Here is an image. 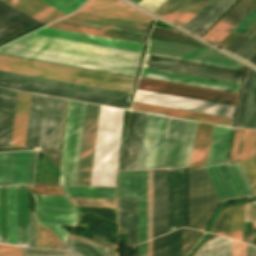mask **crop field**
Masks as SVG:
<instances>
[{"instance_id":"crop-field-3","label":"crop field","mask_w":256,"mask_h":256,"mask_svg":"<svg viewBox=\"0 0 256 256\" xmlns=\"http://www.w3.org/2000/svg\"><path fill=\"white\" fill-rule=\"evenodd\" d=\"M150 55L234 68L243 70L244 66L205 48L157 41L149 39L148 53ZM146 56L143 66L168 71L192 74L240 83L243 71L156 57Z\"/></svg>"},{"instance_id":"crop-field-65","label":"crop field","mask_w":256,"mask_h":256,"mask_svg":"<svg viewBox=\"0 0 256 256\" xmlns=\"http://www.w3.org/2000/svg\"><path fill=\"white\" fill-rule=\"evenodd\" d=\"M131 1H133V2L138 4L141 0H131Z\"/></svg>"},{"instance_id":"crop-field-53","label":"crop field","mask_w":256,"mask_h":256,"mask_svg":"<svg viewBox=\"0 0 256 256\" xmlns=\"http://www.w3.org/2000/svg\"><path fill=\"white\" fill-rule=\"evenodd\" d=\"M167 234L153 239V255L166 256Z\"/></svg>"},{"instance_id":"crop-field-66","label":"crop field","mask_w":256,"mask_h":256,"mask_svg":"<svg viewBox=\"0 0 256 256\" xmlns=\"http://www.w3.org/2000/svg\"><path fill=\"white\" fill-rule=\"evenodd\" d=\"M255 156H256V152H255Z\"/></svg>"},{"instance_id":"crop-field-35","label":"crop field","mask_w":256,"mask_h":256,"mask_svg":"<svg viewBox=\"0 0 256 256\" xmlns=\"http://www.w3.org/2000/svg\"><path fill=\"white\" fill-rule=\"evenodd\" d=\"M18 245L29 246L27 189L17 186Z\"/></svg>"},{"instance_id":"crop-field-9","label":"crop field","mask_w":256,"mask_h":256,"mask_svg":"<svg viewBox=\"0 0 256 256\" xmlns=\"http://www.w3.org/2000/svg\"><path fill=\"white\" fill-rule=\"evenodd\" d=\"M203 167L221 202L254 196L238 162L215 163Z\"/></svg>"},{"instance_id":"crop-field-36","label":"crop field","mask_w":256,"mask_h":256,"mask_svg":"<svg viewBox=\"0 0 256 256\" xmlns=\"http://www.w3.org/2000/svg\"><path fill=\"white\" fill-rule=\"evenodd\" d=\"M231 131L215 125L207 163L225 160Z\"/></svg>"},{"instance_id":"crop-field-45","label":"crop field","mask_w":256,"mask_h":256,"mask_svg":"<svg viewBox=\"0 0 256 256\" xmlns=\"http://www.w3.org/2000/svg\"><path fill=\"white\" fill-rule=\"evenodd\" d=\"M152 238V170L147 171V240Z\"/></svg>"},{"instance_id":"crop-field-6","label":"crop field","mask_w":256,"mask_h":256,"mask_svg":"<svg viewBox=\"0 0 256 256\" xmlns=\"http://www.w3.org/2000/svg\"><path fill=\"white\" fill-rule=\"evenodd\" d=\"M123 114L101 106L91 185H115Z\"/></svg>"},{"instance_id":"crop-field-34","label":"crop field","mask_w":256,"mask_h":256,"mask_svg":"<svg viewBox=\"0 0 256 256\" xmlns=\"http://www.w3.org/2000/svg\"><path fill=\"white\" fill-rule=\"evenodd\" d=\"M213 127L199 123L189 166L206 163Z\"/></svg>"},{"instance_id":"crop-field-10","label":"crop field","mask_w":256,"mask_h":256,"mask_svg":"<svg viewBox=\"0 0 256 256\" xmlns=\"http://www.w3.org/2000/svg\"><path fill=\"white\" fill-rule=\"evenodd\" d=\"M220 203L202 166L189 168V227L200 230Z\"/></svg>"},{"instance_id":"crop-field-51","label":"crop field","mask_w":256,"mask_h":256,"mask_svg":"<svg viewBox=\"0 0 256 256\" xmlns=\"http://www.w3.org/2000/svg\"><path fill=\"white\" fill-rule=\"evenodd\" d=\"M256 52V34L236 53V55L249 59ZM256 65V53L248 60Z\"/></svg>"},{"instance_id":"crop-field-14","label":"crop field","mask_w":256,"mask_h":256,"mask_svg":"<svg viewBox=\"0 0 256 256\" xmlns=\"http://www.w3.org/2000/svg\"><path fill=\"white\" fill-rule=\"evenodd\" d=\"M137 88L233 105H235L238 95L235 93L167 83L143 78L139 79Z\"/></svg>"},{"instance_id":"crop-field-56","label":"crop field","mask_w":256,"mask_h":256,"mask_svg":"<svg viewBox=\"0 0 256 256\" xmlns=\"http://www.w3.org/2000/svg\"><path fill=\"white\" fill-rule=\"evenodd\" d=\"M184 226L188 227V168L184 169Z\"/></svg>"},{"instance_id":"crop-field-44","label":"crop field","mask_w":256,"mask_h":256,"mask_svg":"<svg viewBox=\"0 0 256 256\" xmlns=\"http://www.w3.org/2000/svg\"><path fill=\"white\" fill-rule=\"evenodd\" d=\"M239 164L256 195V158L255 156L243 161H239Z\"/></svg>"},{"instance_id":"crop-field-21","label":"crop field","mask_w":256,"mask_h":256,"mask_svg":"<svg viewBox=\"0 0 256 256\" xmlns=\"http://www.w3.org/2000/svg\"><path fill=\"white\" fill-rule=\"evenodd\" d=\"M167 232V170H153V238Z\"/></svg>"},{"instance_id":"crop-field-30","label":"crop field","mask_w":256,"mask_h":256,"mask_svg":"<svg viewBox=\"0 0 256 256\" xmlns=\"http://www.w3.org/2000/svg\"><path fill=\"white\" fill-rule=\"evenodd\" d=\"M132 110L208 122V123H214V124H220V125H226V126H230L231 120H232L230 118L200 114L195 112L171 109V108L136 103V102L133 103Z\"/></svg>"},{"instance_id":"crop-field-63","label":"crop field","mask_w":256,"mask_h":256,"mask_svg":"<svg viewBox=\"0 0 256 256\" xmlns=\"http://www.w3.org/2000/svg\"><path fill=\"white\" fill-rule=\"evenodd\" d=\"M247 256H256V247L247 244Z\"/></svg>"},{"instance_id":"crop-field-47","label":"crop field","mask_w":256,"mask_h":256,"mask_svg":"<svg viewBox=\"0 0 256 256\" xmlns=\"http://www.w3.org/2000/svg\"><path fill=\"white\" fill-rule=\"evenodd\" d=\"M42 1L50 4L51 6L65 12L67 14H69L72 11L76 10L86 0H42Z\"/></svg>"},{"instance_id":"crop-field-23","label":"crop field","mask_w":256,"mask_h":256,"mask_svg":"<svg viewBox=\"0 0 256 256\" xmlns=\"http://www.w3.org/2000/svg\"><path fill=\"white\" fill-rule=\"evenodd\" d=\"M183 226V169L168 170V232Z\"/></svg>"},{"instance_id":"crop-field-58","label":"crop field","mask_w":256,"mask_h":256,"mask_svg":"<svg viewBox=\"0 0 256 256\" xmlns=\"http://www.w3.org/2000/svg\"><path fill=\"white\" fill-rule=\"evenodd\" d=\"M0 256H21V247L0 244Z\"/></svg>"},{"instance_id":"crop-field-5","label":"crop field","mask_w":256,"mask_h":256,"mask_svg":"<svg viewBox=\"0 0 256 256\" xmlns=\"http://www.w3.org/2000/svg\"><path fill=\"white\" fill-rule=\"evenodd\" d=\"M0 70L131 93L133 77L0 55Z\"/></svg>"},{"instance_id":"crop-field-17","label":"crop field","mask_w":256,"mask_h":256,"mask_svg":"<svg viewBox=\"0 0 256 256\" xmlns=\"http://www.w3.org/2000/svg\"><path fill=\"white\" fill-rule=\"evenodd\" d=\"M64 103L45 96L39 147L58 150Z\"/></svg>"},{"instance_id":"crop-field-22","label":"crop field","mask_w":256,"mask_h":256,"mask_svg":"<svg viewBox=\"0 0 256 256\" xmlns=\"http://www.w3.org/2000/svg\"><path fill=\"white\" fill-rule=\"evenodd\" d=\"M141 76L161 79L166 81H172V82H178V83H184V84H190L195 86L213 88L218 90L236 92V93H238L239 86H240V84L238 83L220 81L215 79L191 76L186 74L168 72V71L145 68V67H143L142 69Z\"/></svg>"},{"instance_id":"crop-field-61","label":"crop field","mask_w":256,"mask_h":256,"mask_svg":"<svg viewBox=\"0 0 256 256\" xmlns=\"http://www.w3.org/2000/svg\"><path fill=\"white\" fill-rule=\"evenodd\" d=\"M138 256H146V241L138 245Z\"/></svg>"},{"instance_id":"crop-field-37","label":"crop field","mask_w":256,"mask_h":256,"mask_svg":"<svg viewBox=\"0 0 256 256\" xmlns=\"http://www.w3.org/2000/svg\"><path fill=\"white\" fill-rule=\"evenodd\" d=\"M68 198L116 199V188L61 186Z\"/></svg>"},{"instance_id":"crop-field-28","label":"crop field","mask_w":256,"mask_h":256,"mask_svg":"<svg viewBox=\"0 0 256 256\" xmlns=\"http://www.w3.org/2000/svg\"><path fill=\"white\" fill-rule=\"evenodd\" d=\"M209 0H166L155 13L183 26Z\"/></svg>"},{"instance_id":"crop-field-33","label":"crop field","mask_w":256,"mask_h":256,"mask_svg":"<svg viewBox=\"0 0 256 256\" xmlns=\"http://www.w3.org/2000/svg\"><path fill=\"white\" fill-rule=\"evenodd\" d=\"M64 19L76 20L81 22L93 23L98 25L110 26L144 33L147 32L150 26L148 24L136 23L131 21L113 19L79 12H76L73 15Z\"/></svg>"},{"instance_id":"crop-field-32","label":"crop field","mask_w":256,"mask_h":256,"mask_svg":"<svg viewBox=\"0 0 256 256\" xmlns=\"http://www.w3.org/2000/svg\"><path fill=\"white\" fill-rule=\"evenodd\" d=\"M26 14L48 24L66 14L40 0H2Z\"/></svg>"},{"instance_id":"crop-field-26","label":"crop field","mask_w":256,"mask_h":256,"mask_svg":"<svg viewBox=\"0 0 256 256\" xmlns=\"http://www.w3.org/2000/svg\"><path fill=\"white\" fill-rule=\"evenodd\" d=\"M32 34L80 41L85 43H91V44H97V45H103V46H109V47H115V48H121V49H127V50L139 51V52H143V48H144V45L142 44L119 41L114 39H108L103 37H97V36L69 32V31L58 30V29L47 28V27H43L33 32Z\"/></svg>"},{"instance_id":"crop-field-57","label":"crop field","mask_w":256,"mask_h":256,"mask_svg":"<svg viewBox=\"0 0 256 256\" xmlns=\"http://www.w3.org/2000/svg\"><path fill=\"white\" fill-rule=\"evenodd\" d=\"M118 210H137V198H118Z\"/></svg>"},{"instance_id":"crop-field-54","label":"crop field","mask_w":256,"mask_h":256,"mask_svg":"<svg viewBox=\"0 0 256 256\" xmlns=\"http://www.w3.org/2000/svg\"><path fill=\"white\" fill-rule=\"evenodd\" d=\"M255 20L256 8L252 12H250L232 31L241 34Z\"/></svg>"},{"instance_id":"crop-field-49","label":"crop field","mask_w":256,"mask_h":256,"mask_svg":"<svg viewBox=\"0 0 256 256\" xmlns=\"http://www.w3.org/2000/svg\"><path fill=\"white\" fill-rule=\"evenodd\" d=\"M202 235L203 232L183 228V256H185Z\"/></svg>"},{"instance_id":"crop-field-62","label":"crop field","mask_w":256,"mask_h":256,"mask_svg":"<svg viewBox=\"0 0 256 256\" xmlns=\"http://www.w3.org/2000/svg\"><path fill=\"white\" fill-rule=\"evenodd\" d=\"M196 256H208V243L205 244L198 252Z\"/></svg>"},{"instance_id":"crop-field-46","label":"crop field","mask_w":256,"mask_h":256,"mask_svg":"<svg viewBox=\"0 0 256 256\" xmlns=\"http://www.w3.org/2000/svg\"><path fill=\"white\" fill-rule=\"evenodd\" d=\"M244 133L245 130L235 129L229 163L240 160Z\"/></svg>"},{"instance_id":"crop-field-25","label":"crop field","mask_w":256,"mask_h":256,"mask_svg":"<svg viewBox=\"0 0 256 256\" xmlns=\"http://www.w3.org/2000/svg\"><path fill=\"white\" fill-rule=\"evenodd\" d=\"M235 127L256 128V72L248 69Z\"/></svg>"},{"instance_id":"crop-field-12","label":"crop field","mask_w":256,"mask_h":256,"mask_svg":"<svg viewBox=\"0 0 256 256\" xmlns=\"http://www.w3.org/2000/svg\"><path fill=\"white\" fill-rule=\"evenodd\" d=\"M134 101L230 118H232L235 108V106L233 105L203 101L139 89H137L136 91Z\"/></svg>"},{"instance_id":"crop-field-29","label":"crop field","mask_w":256,"mask_h":256,"mask_svg":"<svg viewBox=\"0 0 256 256\" xmlns=\"http://www.w3.org/2000/svg\"><path fill=\"white\" fill-rule=\"evenodd\" d=\"M235 0H210L183 28L200 35Z\"/></svg>"},{"instance_id":"crop-field-59","label":"crop field","mask_w":256,"mask_h":256,"mask_svg":"<svg viewBox=\"0 0 256 256\" xmlns=\"http://www.w3.org/2000/svg\"><path fill=\"white\" fill-rule=\"evenodd\" d=\"M164 1L165 0H142L139 5L154 12Z\"/></svg>"},{"instance_id":"crop-field-15","label":"crop field","mask_w":256,"mask_h":256,"mask_svg":"<svg viewBox=\"0 0 256 256\" xmlns=\"http://www.w3.org/2000/svg\"><path fill=\"white\" fill-rule=\"evenodd\" d=\"M118 197H138V243L146 240V171L118 172Z\"/></svg>"},{"instance_id":"crop-field-2","label":"crop field","mask_w":256,"mask_h":256,"mask_svg":"<svg viewBox=\"0 0 256 256\" xmlns=\"http://www.w3.org/2000/svg\"><path fill=\"white\" fill-rule=\"evenodd\" d=\"M197 125L149 114L137 169L188 166Z\"/></svg>"},{"instance_id":"crop-field-19","label":"crop field","mask_w":256,"mask_h":256,"mask_svg":"<svg viewBox=\"0 0 256 256\" xmlns=\"http://www.w3.org/2000/svg\"><path fill=\"white\" fill-rule=\"evenodd\" d=\"M78 11L148 24L152 20L118 0H89Z\"/></svg>"},{"instance_id":"crop-field-52","label":"crop field","mask_w":256,"mask_h":256,"mask_svg":"<svg viewBox=\"0 0 256 256\" xmlns=\"http://www.w3.org/2000/svg\"><path fill=\"white\" fill-rule=\"evenodd\" d=\"M22 256H72L67 251L44 250L35 248H23Z\"/></svg>"},{"instance_id":"crop-field-40","label":"crop field","mask_w":256,"mask_h":256,"mask_svg":"<svg viewBox=\"0 0 256 256\" xmlns=\"http://www.w3.org/2000/svg\"><path fill=\"white\" fill-rule=\"evenodd\" d=\"M8 243L17 245L16 187L8 186Z\"/></svg>"},{"instance_id":"crop-field-20","label":"crop field","mask_w":256,"mask_h":256,"mask_svg":"<svg viewBox=\"0 0 256 256\" xmlns=\"http://www.w3.org/2000/svg\"><path fill=\"white\" fill-rule=\"evenodd\" d=\"M47 27H53L58 29L70 30L75 32H81L86 34H92L97 36H103L108 38H114V39H120V40L144 44L145 34L143 33L131 32L126 30L75 22L70 20L61 19L48 25Z\"/></svg>"},{"instance_id":"crop-field-38","label":"crop field","mask_w":256,"mask_h":256,"mask_svg":"<svg viewBox=\"0 0 256 256\" xmlns=\"http://www.w3.org/2000/svg\"><path fill=\"white\" fill-rule=\"evenodd\" d=\"M209 256H232V240L223 237L210 240ZM233 256H246V244L233 240Z\"/></svg>"},{"instance_id":"crop-field-64","label":"crop field","mask_w":256,"mask_h":256,"mask_svg":"<svg viewBox=\"0 0 256 256\" xmlns=\"http://www.w3.org/2000/svg\"><path fill=\"white\" fill-rule=\"evenodd\" d=\"M152 255V239L147 241V256Z\"/></svg>"},{"instance_id":"crop-field-55","label":"crop field","mask_w":256,"mask_h":256,"mask_svg":"<svg viewBox=\"0 0 256 256\" xmlns=\"http://www.w3.org/2000/svg\"><path fill=\"white\" fill-rule=\"evenodd\" d=\"M37 247L48 248V230L36 223Z\"/></svg>"},{"instance_id":"crop-field-31","label":"crop field","mask_w":256,"mask_h":256,"mask_svg":"<svg viewBox=\"0 0 256 256\" xmlns=\"http://www.w3.org/2000/svg\"><path fill=\"white\" fill-rule=\"evenodd\" d=\"M245 206L226 209L217 220L212 232L241 241Z\"/></svg>"},{"instance_id":"crop-field-16","label":"crop field","mask_w":256,"mask_h":256,"mask_svg":"<svg viewBox=\"0 0 256 256\" xmlns=\"http://www.w3.org/2000/svg\"><path fill=\"white\" fill-rule=\"evenodd\" d=\"M99 109L87 103L77 185H90Z\"/></svg>"},{"instance_id":"crop-field-4","label":"crop field","mask_w":256,"mask_h":256,"mask_svg":"<svg viewBox=\"0 0 256 256\" xmlns=\"http://www.w3.org/2000/svg\"><path fill=\"white\" fill-rule=\"evenodd\" d=\"M17 91L0 88V149L10 148ZM30 94L18 91L11 148L24 147ZM44 96L31 94L25 147H38Z\"/></svg>"},{"instance_id":"crop-field-41","label":"crop field","mask_w":256,"mask_h":256,"mask_svg":"<svg viewBox=\"0 0 256 256\" xmlns=\"http://www.w3.org/2000/svg\"><path fill=\"white\" fill-rule=\"evenodd\" d=\"M68 250L75 256H108V250L88 244L77 243L69 240Z\"/></svg>"},{"instance_id":"crop-field-8","label":"crop field","mask_w":256,"mask_h":256,"mask_svg":"<svg viewBox=\"0 0 256 256\" xmlns=\"http://www.w3.org/2000/svg\"><path fill=\"white\" fill-rule=\"evenodd\" d=\"M86 103H68L58 185H76Z\"/></svg>"},{"instance_id":"crop-field-7","label":"crop field","mask_w":256,"mask_h":256,"mask_svg":"<svg viewBox=\"0 0 256 256\" xmlns=\"http://www.w3.org/2000/svg\"><path fill=\"white\" fill-rule=\"evenodd\" d=\"M0 79L16 81V82H21V83H27V84H33V85H39V86H45V87H51V88H57V89H62V90L74 91V92H80V93H86V94H92V95L115 98V99H121V100H127V101H129L130 95H131L129 93L117 92V91H112V90L100 89V88H95V87L83 86V85H78V84L66 83V82H61V81H55V80H50V79L38 78V77L21 75V74L4 72V71H0ZM4 80H0V87H6V88H12V89H18V90H24V91H30V92H36V93H42V94H48V95H54V96H60V97L90 101V102L125 107V108L128 107V103H129L127 101H121V100L97 97V96H92V95L56 90V89H51V88L21 84V83L4 81Z\"/></svg>"},{"instance_id":"crop-field-24","label":"crop field","mask_w":256,"mask_h":256,"mask_svg":"<svg viewBox=\"0 0 256 256\" xmlns=\"http://www.w3.org/2000/svg\"><path fill=\"white\" fill-rule=\"evenodd\" d=\"M40 24L42 23L0 1V43Z\"/></svg>"},{"instance_id":"crop-field-13","label":"crop field","mask_w":256,"mask_h":256,"mask_svg":"<svg viewBox=\"0 0 256 256\" xmlns=\"http://www.w3.org/2000/svg\"><path fill=\"white\" fill-rule=\"evenodd\" d=\"M37 151L0 152V184L33 185Z\"/></svg>"},{"instance_id":"crop-field-43","label":"crop field","mask_w":256,"mask_h":256,"mask_svg":"<svg viewBox=\"0 0 256 256\" xmlns=\"http://www.w3.org/2000/svg\"><path fill=\"white\" fill-rule=\"evenodd\" d=\"M167 256H182V228L168 234Z\"/></svg>"},{"instance_id":"crop-field-11","label":"crop field","mask_w":256,"mask_h":256,"mask_svg":"<svg viewBox=\"0 0 256 256\" xmlns=\"http://www.w3.org/2000/svg\"><path fill=\"white\" fill-rule=\"evenodd\" d=\"M39 223L53 230L64 243L67 232L59 224L76 225L77 214L66 196L32 195ZM54 233V234H55Z\"/></svg>"},{"instance_id":"crop-field-18","label":"crop field","mask_w":256,"mask_h":256,"mask_svg":"<svg viewBox=\"0 0 256 256\" xmlns=\"http://www.w3.org/2000/svg\"><path fill=\"white\" fill-rule=\"evenodd\" d=\"M148 114L131 111L120 170L136 169Z\"/></svg>"},{"instance_id":"crop-field-50","label":"crop field","mask_w":256,"mask_h":256,"mask_svg":"<svg viewBox=\"0 0 256 256\" xmlns=\"http://www.w3.org/2000/svg\"><path fill=\"white\" fill-rule=\"evenodd\" d=\"M256 33V21L239 36L226 50L236 53Z\"/></svg>"},{"instance_id":"crop-field-27","label":"crop field","mask_w":256,"mask_h":256,"mask_svg":"<svg viewBox=\"0 0 256 256\" xmlns=\"http://www.w3.org/2000/svg\"><path fill=\"white\" fill-rule=\"evenodd\" d=\"M256 0H240L203 38L217 44L231 31L254 7Z\"/></svg>"},{"instance_id":"crop-field-39","label":"crop field","mask_w":256,"mask_h":256,"mask_svg":"<svg viewBox=\"0 0 256 256\" xmlns=\"http://www.w3.org/2000/svg\"><path fill=\"white\" fill-rule=\"evenodd\" d=\"M118 235H126L127 245L137 243V211H118Z\"/></svg>"},{"instance_id":"crop-field-1","label":"crop field","mask_w":256,"mask_h":256,"mask_svg":"<svg viewBox=\"0 0 256 256\" xmlns=\"http://www.w3.org/2000/svg\"><path fill=\"white\" fill-rule=\"evenodd\" d=\"M0 53L134 76L140 53L28 34Z\"/></svg>"},{"instance_id":"crop-field-48","label":"crop field","mask_w":256,"mask_h":256,"mask_svg":"<svg viewBox=\"0 0 256 256\" xmlns=\"http://www.w3.org/2000/svg\"><path fill=\"white\" fill-rule=\"evenodd\" d=\"M256 146V130H246L241 160L254 155Z\"/></svg>"},{"instance_id":"crop-field-60","label":"crop field","mask_w":256,"mask_h":256,"mask_svg":"<svg viewBox=\"0 0 256 256\" xmlns=\"http://www.w3.org/2000/svg\"><path fill=\"white\" fill-rule=\"evenodd\" d=\"M30 246L36 247L35 219L29 212Z\"/></svg>"},{"instance_id":"crop-field-42","label":"crop field","mask_w":256,"mask_h":256,"mask_svg":"<svg viewBox=\"0 0 256 256\" xmlns=\"http://www.w3.org/2000/svg\"><path fill=\"white\" fill-rule=\"evenodd\" d=\"M0 242L7 243V186H0Z\"/></svg>"}]
</instances>
